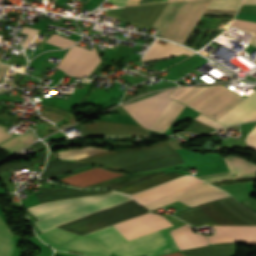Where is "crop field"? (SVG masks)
<instances>
[{"mask_svg": "<svg viewBox=\"0 0 256 256\" xmlns=\"http://www.w3.org/2000/svg\"><path fill=\"white\" fill-rule=\"evenodd\" d=\"M36 193L40 203L61 198L104 194L105 192H91L70 189L39 188ZM132 200L120 193H107L98 196L61 199L38 204L28 208L39 220L35 221L38 228L44 232L54 226L95 213L97 211ZM128 240L144 234L169 227L167 221L157 215H143L114 225Z\"/></svg>", "mask_w": 256, "mask_h": 256, "instance_id": "crop-field-1", "label": "crop field"}, {"mask_svg": "<svg viewBox=\"0 0 256 256\" xmlns=\"http://www.w3.org/2000/svg\"><path fill=\"white\" fill-rule=\"evenodd\" d=\"M194 226L256 224V215L244 209L232 197L197 206L174 215ZM216 232L210 242L256 243V225L212 226Z\"/></svg>", "mask_w": 256, "mask_h": 256, "instance_id": "crop-field-2", "label": "crop field"}, {"mask_svg": "<svg viewBox=\"0 0 256 256\" xmlns=\"http://www.w3.org/2000/svg\"><path fill=\"white\" fill-rule=\"evenodd\" d=\"M200 182L202 181L192 176H184L171 182L146 190L142 193L134 194L132 196L139 200L142 203V205H145L149 202H152L161 197L180 191L182 189H185ZM227 196L230 195H228L227 193L218 188H215L205 182H202L200 184H197L195 186L174 193L172 195L166 196L150 204H147L145 205V207L148 210H152L177 200L191 207H194Z\"/></svg>", "mask_w": 256, "mask_h": 256, "instance_id": "crop-field-3", "label": "crop field"}, {"mask_svg": "<svg viewBox=\"0 0 256 256\" xmlns=\"http://www.w3.org/2000/svg\"><path fill=\"white\" fill-rule=\"evenodd\" d=\"M85 236L100 242L119 256H156L179 250L167 228L130 241L113 226Z\"/></svg>", "mask_w": 256, "mask_h": 256, "instance_id": "crop-field-4", "label": "crop field"}, {"mask_svg": "<svg viewBox=\"0 0 256 256\" xmlns=\"http://www.w3.org/2000/svg\"><path fill=\"white\" fill-rule=\"evenodd\" d=\"M173 155H177V153L172 149L168 142H165L154 144L149 147L108 152L76 161L92 162L102 166L123 169Z\"/></svg>", "mask_w": 256, "mask_h": 256, "instance_id": "crop-field-5", "label": "crop field"}, {"mask_svg": "<svg viewBox=\"0 0 256 256\" xmlns=\"http://www.w3.org/2000/svg\"><path fill=\"white\" fill-rule=\"evenodd\" d=\"M242 99L243 96L232 90L215 85L209 86L185 105L216 120Z\"/></svg>", "mask_w": 256, "mask_h": 256, "instance_id": "crop-field-6", "label": "crop field"}, {"mask_svg": "<svg viewBox=\"0 0 256 256\" xmlns=\"http://www.w3.org/2000/svg\"><path fill=\"white\" fill-rule=\"evenodd\" d=\"M212 0L185 1L162 37L183 44Z\"/></svg>", "mask_w": 256, "mask_h": 256, "instance_id": "crop-field-7", "label": "crop field"}, {"mask_svg": "<svg viewBox=\"0 0 256 256\" xmlns=\"http://www.w3.org/2000/svg\"><path fill=\"white\" fill-rule=\"evenodd\" d=\"M173 90H165L155 96L123 106L141 125L150 128L172 100L167 95Z\"/></svg>", "mask_w": 256, "mask_h": 256, "instance_id": "crop-field-8", "label": "crop field"}, {"mask_svg": "<svg viewBox=\"0 0 256 256\" xmlns=\"http://www.w3.org/2000/svg\"><path fill=\"white\" fill-rule=\"evenodd\" d=\"M100 61L101 59L98 57L94 47L89 51L74 45L58 64L57 68L63 69L69 75L82 77L89 75Z\"/></svg>", "mask_w": 256, "mask_h": 256, "instance_id": "crop-field-9", "label": "crop field"}, {"mask_svg": "<svg viewBox=\"0 0 256 256\" xmlns=\"http://www.w3.org/2000/svg\"><path fill=\"white\" fill-rule=\"evenodd\" d=\"M196 119L216 128H223L245 121L256 120V91L238 103L216 121L200 114Z\"/></svg>", "mask_w": 256, "mask_h": 256, "instance_id": "crop-field-10", "label": "crop field"}, {"mask_svg": "<svg viewBox=\"0 0 256 256\" xmlns=\"http://www.w3.org/2000/svg\"><path fill=\"white\" fill-rule=\"evenodd\" d=\"M166 3L125 7L118 19L132 25L150 29Z\"/></svg>", "mask_w": 256, "mask_h": 256, "instance_id": "crop-field-11", "label": "crop field"}, {"mask_svg": "<svg viewBox=\"0 0 256 256\" xmlns=\"http://www.w3.org/2000/svg\"><path fill=\"white\" fill-rule=\"evenodd\" d=\"M82 135H149L141 126L93 121L81 124Z\"/></svg>", "mask_w": 256, "mask_h": 256, "instance_id": "crop-field-12", "label": "crop field"}, {"mask_svg": "<svg viewBox=\"0 0 256 256\" xmlns=\"http://www.w3.org/2000/svg\"><path fill=\"white\" fill-rule=\"evenodd\" d=\"M126 175L124 173L106 170L97 166L64 176L58 180L69 185L85 188L107 180H112L117 177Z\"/></svg>", "mask_w": 256, "mask_h": 256, "instance_id": "crop-field-13", "label": "crop field"}, {"mask_svg": "<svg viewBox=\"0 0 256 256\" xmlns=\"http://www.w3.org/2000/svg\"><path fill=\"white\" fill-rule=\"evenodd\" d=\"M224 161H225L229 171L235 172V173H237V175H235V176L228 175V174H230V172H226V173H220V174L200 176L199 178L204 179V178L228 175V176L204 179V181H206V182H213V181H219V180H225V179H231V178L256 176V165L249 164V163H247L246 160L235 158V157H229V158H225Z\"/></svg>", "mask_w": 256, "mask_h": 256, "instance_id": "crop-field-14", "label": "crop field"}, {"mask_svg": "<svg viewBox=\"0 0 256 256\" xmlns=\"http://www.w3.org/2000/svg\"><path fill=\"white\" fill-rule=\"evenodd\" d=\"M57 250L73 251L97 256H109L111 253L99 244L80 235L57 248Z\"/></svg>", "mask_w": 256, "mask_h": 256, "instance_id": "crop-field-15", "label": "crop field"}, {"mask_svg": "<svg viewBox=\"0 0 256 256\" xmlns=\"http://www.w3.org/2000/svg\"><path fill=\"white\" fill-rule=\"evenodd\" d=\"M171 234L180 250L207 244L204 236L194 233L193 229L188 224L171 231Z\"/></svg>", "mask_w": 256, "mask_h": 256, "instance_id": "crop-field-16", "label": "crop field"}, {"mask_svg": "<svg viewBox=\"0 0 256 256\" xmlns=\"http://www.w3.org/2000/svg\"><path fill=\"white\" fill-rule=\"evenodd\" d=\"M159 39H156L155 42L150 47L148 53L145 55V57L142 59V61L157 59V58H165L172 55H192L193 52L180 47L176 46L172 43H166L164 46L157 44Z\"/></svg>", "mask_w": 256, "mask_h": 256, "instance_id": "crop-field-17", "label": "crop field"}, {"mask_svg": "<svg viewBox=\"0 0 256 256\" xmlns=\"http://www.w3.org/2000/svg\"><path fill=\"white\" fill-rule=\"evenodd\" d=\"M184 256H233L232 243L216 244L204 248L181 251Z\"/></svg>", "mask_w": 256, "mask_h": 256, "instance_id": "crop-field-18", "label": "crop field"}, {"mask_svg": "<svg viewBox=\"0 0 256 256\" xmlns=\"http://www.w3.org/2000/svg\"><path fill=\"white\" fill-rule=\"evenodd\" d=\"M183 107L184 105L172 100L150 129L164 133Z\"/></svg>", "mask_w": 256, "mask_h": 256, "instance_id": "crop-field-19", "label": "crop field"}, {"mask_svg": "<svg viewBox=\"0 0 256 256\" xmlns=\"http://www.w3.org/2000/svg\"><path fill=\"white\" fill-rule=\"evenodd\" d=\"M184 164V161L181 159L180 155L168 157L156 161H152L149 163H145L142 165L134 166L131 168L123 169L132 172H145V171H153L163 168H168L176 165Z\"/></svg>", "mask_w": 256, "mask_h": 256, "instance_id": "crop-field-20", "label": "crop field"}, {"mask_svg": "<svg viewBox=\"0 0 256 256\" xmlns=\"http://www.w3.org/2000/svg\"><path fill=\"white\" fill-rule=\"evenodd\" d=\"M89 165H92V164L70 163V162H63V161L56 160L47 164L45 171L41 174V177H56L66 172L76 170Z\"/></svg>", "mask_w": 256, "mask_h": 256, "instance_id": "crop-field-21", "label": "crop field"}, {"mask_svg": "<svg viewBox=\"0 0 256 256\" xmlns=\"http://www.w3.org/2000/svg\"><path fill=\"white\" fill-rule=\"evenodd\" d=\"M184 3V1H174L170 2L165 6L155 23L153 24V27H155L159 31V37H161L162 33L166 29V27L169 25V23L172 21L174 15L179 10L181 5Z\"/></svg>", "mask_w": 256, "mask_h": 256, "instance_id": "crop-field-22", "label": "crop field"}, {"mask_svg": "<svg viewBox=\"0 0 256 256\" xmlns=\"http://www.w3.org/2000/svg\"><path fill=\"white\" fill-rule=\"evenodd\" d=\"M76 234L61 230L57 227L43 233L39 234V237L41 240L49 244L50 246L54 247L56 249L72 237H74Z\"/></svg>", "mask_w": 256, "mask_h": 256, "instance_id": "crop-field-23", "label": "crop field"}, {"mask_svg": "<svg viewBox=\"0 0 256 256\" xmlns=\"http://www.w3.org/2000/svg\"><path fill=\"white\" fill-rule=\"evenodd\" d=\"M34 139L36 138L30 131L23 136H16L6 141L5 143L1 144L0 147L14 153L32 143Z\"/></svg>", "mask_w": 256, "mask_h": 256, "instance_id": "crop-field-24", "label": "crop field"}, {"mask_svg": "<svg viewBox=\"0 0 256 256\" xmlns=\"http://www.w3.org/2000/svg\"><path fill=\"white\" fill-rule=\"evenodd\" d=\"M13 251L12 236L0 220V256H11Z\"/></svg>", "mask_w": 256, "mask_h": 256, "instance_id": "crop-field-25", "label": "crop field"}, {"mask_svg": "<svg viewBox=\"0 0 256 256\" xmlns=\"http://www.w3.org/2000/svg\"><path fill=\"white\" fill-rule=\"evenodd\" d=\"M179 176H181V174L173 172L171 174H168V175H165L163 177L151 180L149 182H146V183H143V184H140V185H137V186H134V187L122 190L120 192H123V193H126V194L136 193V192H139V191L151 188L153 186H156L158 184H161L163 182H166L168 180H171V179L179 177Z\"/></svg>", "mask_w": 256, "mask_h": 256, "instance_id": "crop-field-26", "label": "crop field"}, {"mask_svg": "<svg viewBox=\"0 0 256 256\" xmlns=\"http://www.w3.org/2000/svg\"><path fill=\"white\" fill-rule=\"evenodd\" d=\"M46 155V150L40 153V160L32 161V162H22V163H11L7 165L0 166V173L4 171H8L15 168H35L34 163H44Z\"/></svg>", "mask_w": 256, "mask_h": 256, "instance_id": "crop-field-27", "label": "crop field"}, {"mask_svg": "<svg viewBox=\"0 0 256 256\" xmlns=\"http://www.w3.org/2000/svg\"><path fill=\"white\" fill-rule=\"evenodd\" d=\"M242 0H213L208 8L238 9Z\"/></svg>", "mask_w": 256, "mask_h": 256, "instance_id": "crop-field-28", "label": "crop field"}, {"mask_svg": "<svg viewBox=\"0 0 256 256\" xmlns=\"http://www.w3.org/2000/svg\"><path fill=\"white\" fill-rule=\"evenodd\" d=\"M47 42L55 44L57 46H60L62 48L68 47L70 45H72L75 41L66 39L64 37L58 36L53 34L48 40Z\"/></svg>", "mask_w": 256, "mask_h": 256, "instance_id": "crop-field-29", "label": "crop field"}, {"mask_svg": "<svg viewBox=\"0 0 256 256\" xmlns=\"http://www.w3.org/2000/svg\"><path fill=\"white\" fill-rule=\"evenodd\" d=\"M43 111H47V112H52V113L63 115L67 119L69 124H71V123L76 121L74 116L72 115V113L64 111V110H61V109H58V108L53 107V106L45 105Z\"/></svg>", "mask_w": 256, "mask_h": 256, "instance_id": "crop-field-30", "label": "crop field"}, {"mask_svg": "<svg viewBox=\"0 0 256 256\" xmlns=\"http://www.w3.org/2000/svg\"><path fill=\"white\" fill-rule=\"evenodd\" d=\"M231 26L256 32V23L233 19Z\"/></svg>", "mask_w": 256, "mask_h": 256, "instance_id": "crop-field-31", "label": "crop field"}, {"mask_svg": "<svg viewBox=\"0 0 256 256\" xmlns=\"http://www.w3.org/2000/svg\"><path fill=\"white\" fill-rule=\"evenodd\" d=\"M206 87H195L190 92L185 94L183 97H181L178 101L182 103L188 102L190 99H192L194 96H196L198 93H200L202 90H204Z\"/></svg>", "mask_w": 256, "mask_h": 256, "instance_id": "crop-field-32", "label": "crop field"}, {"mask_svg": "<svg viewBox=\"0 0 256 256\" xmlns=\"http://www.w3.org/2000/svg\"><path fill=\"white\" fill-rule=\"evenodd\" d=\"M22 33L28 34L25 40L22 43L23 48H26V46L30 43V41L35 37V35L38 33V30L30 29L24 27Z\"/></svg>", "mask_w": 256, "mask_h": 256, "instance_id": "crop-field-33", "label": "crop field"}, {"mask_svg": "<svg viewBox=\"0 0 256 256\" xmlns=\"http://www.w3.org/2000/svg\"><path fill=\"white\" fill-rule=\"evenodd\" d=\"M245 141L249 146L256 149V126L252 129V131L246 136Z\"/></svg>", "mask_w": 256, "mask_h": 256, "instance_id": "crop-field-34", "label": "crop field"}, {"mask_svg": "<svg viewBox=\"0 0 256 256\" xmlns=\"http://www.w3.org/2000/svg\"><path fill=\"white\" fill-rule=\"evenodd\" d=\"M5 129H6V127L0 126V144L4 141L8 140L9 138L15 136V135L5 132L4 131Z\"/></svg>", "mask_w": 256, "mask_h": 256, "instance_id": "crop-field-35", "label": "crop field"}, {"mask_svg": "<svg viewBox=\"0 0 256 256\" xmlns=\"http://www.w3.org/2000/svg\"><path fill=\"white\" fill-rule=\"evenodd\" d=\"M239 12L256 13V6H241Z\"/></svg>", "mask_w": 256, "mask_h": 256, "instance_id": "crop-field-36", "label": "crop field"}, {"mask_svg": "<svg viewBox=\"0 0 256 256\" xmlns=\"http://www.w3.org/2000/svg\"><path fill=\"white\" fill-rule=\"evenodd\" d=\"M10 68L9 65L1 64L0 63V79L3 77V75L8 71ZM1 81V80H0Z\"/></svg>", "mask_w": 256, "mask_h": 256, "instance_id": "crop-field-37", "label": "crop field"}, {"mask_svg": "<svg viewBox=\"0 0 256 256\" xmlns=\"http://www.w3.org/2000/svg\"><path fill=\"white\" fill-rule=\"evenodd\" d=\"M107 2L116 4V5H119V6H123V5H126L128 0H107Z\"/></svg>", "mask_w": 256, "mask_h": 256, "instance_id": "crop-field-38", "label": "crop field"}, {"mask_svg": "<svg viewBox=\"0 0 256 256\" xmlns=\"http://www.w3.org/2000/svg\"><path fill=\"white\" fill-rule=\"evenodd\" d=\"M31 147H33L35 150H37V149H39V148L44 147V145H43L42 143L38 142V143L34 144V145L31 146Z\"/></svg>", "mask_w": 256, "mask_h": 256, "instance_id": "crop-field-39", "label": "crop field"}, {"mask_svg": "<svg viewBox=\"0 0 256 256\" xmlns=\"http://www.w3.org/2000/svg\"><path fill=\"white\" fill-rule=\"evenodd\" d=\"M243 4H256V0H244Z\"/></svg>", "mask_w": 256, "mask_h": 256, "instance_id": "crop-field-40", "label": "crop field"}, {"mask_svg": "<svg viewBox=\"0 0 256 256\" xmlns=\"http://www.w3.org/2000/svg\"><path fill=\"white\" fill-rule=\"evenodd\" d=\"M157 1H161V0H141L139 2V4H141V3H149V2H157Z\"/></svg>", "mask_w": 256, "mask_h": 256, "instance_id": "crop-field-41", "label": "crop field"}, {"mask_svg": "<svg viewBox=\"0 0 256 256\" xmlns=\"http://www.w3.org/2000/svg\"><path fill=\"white\" fill-rule=\"evenodd\" d=\"M163 256H183V255H181L179 252H175V253H171Z\"/></svg>", "mask_w": 256, "mask_h": 256, "instance_id": "crop-field-42", "label": "crop field"}, {"mask_svg": "<svg viewBox=\"0 0 256 256\" xmlns=\"http://www.w3.org/2000/svg\"><path fill=\"white\" fill-rule=\"evenodd\" d=\"M140 0H129V2L127 3V5H132V4H138Z\"/></svg>", "mask_w": 256, "mask_h": 256, "instance_id": "crop-field-43", "label": "crop field"}, {"mask_svg": "<svg viewBox=\"0 0 256 256\" xmlns=\"http://www.w3.org/2000/svg\"><path fill=\"white\" fill-rule=\"evenodd\" d=\"M250 45L255 46L256 47V37L254 38V40L250 43Z\"/></svg>", "mask_w": 256, "mask_h": 256, "instance_id": "crop-field-44", "label": "crop field"}, {"mask_svg": "<svg viewBox=\"0 0 256 256\" xmlns=\"http://www.w3.org/2000/svg\"><path fill=\"white\" fill-rule=\"evenodd\" d=\"M2 55H3V52H0V58H1Z\"/></svg>", "mask_w": 256, "mask_h": 256, "instance_id": "crop-field-45", "label": "crop field"}, {"mask_svg": "<svg viewBox=\"0 0 256 256\" xmlns=\"http://www.w3.org/2000/svg\"><path fill=\"white\" fill-rule=\"evenodd\" d=\"M162 1H167V0H162Z\"/></svg>", "mask_w": 256, "mask_h": 256, "instance_id": "crop-field-46", "label": "crop field"}, {"mask_svg": "<svg viewBox=\"0 0 256 256\" xmlns=\"http://www.w3.org/2000/svg\"><path fill=\"white\" fill-rule=\"evenodd\" d=\"M168 1H172V0H168Z\"/></svg>", "mask_w": 256, "mask_h": 256, "instance_id": "crop-field-47", "label": "crop field"}, {"mask_svg": "<svg viewBox=\"0 0 256 256\" xmlns=\"http://www.w3.org/2000/svg\"><path fill=\"white\" fill-rule=\"evenodd\" d=\"M256 80V79H255Z\"/></svg>", "mask_w": 256, "mask_h": 256, "instance_id": "crop-field-48", "label": "crop field"}]
</instances>
